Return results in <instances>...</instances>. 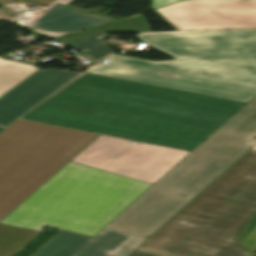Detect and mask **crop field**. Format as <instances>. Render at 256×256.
Here are the masks:
<instances>
[{"mask_svg":"<svg viewBox=\"0 0 256 256\" xmlns=\"http://www.w3.org/2000/svg\"><path fill=\"white\" fill-rule=\"evenodd\" d=\"M244 104L83 73L21 118L192 151Z\"/></svg>","mask_w":256,"mask_h":256,"instance_id":"obj_1","label":"crop field"},{"mask_svg":"<svg viewBox=\"0 0 256 256\" xmlns=\"http://www.w3.org/2000/svg\"><path fill=\"white\" fill-rule=\"evenodd\" d=\"M135 37L175 61L111 54L88 72L248 102L256 95V28L145 32Z\"/></svg>","mask_w":256,"mask_h":256,"instance_id":"obj_2","label":"crop field"},{"mask_svg":"<svg viewBox=\"0 0 256 256\" xmlns=\"http://www.w3.org/2000/svg\"><path fill=\"white\" fill-rule=\"evenodd\" d=\"M138 248L165 256L256 250V149H249Z\"/></svg>","mask_w":256,"mask_h":256,"instance_id":"obj_3","label":"crop field"},{"mask_svg":"<svg viewBox=\"0 0 256 256\" xmlns=\"http://www.w3.org/2000/svg\"><path fill=\"white\" fill-rule=\"evenodd\" d=\"M152 184L68 162L0 224L44 225L93 237Z\"/></svg>","mask_w":256,"mask_h":256,"instance_id":"obj_4","label":"crop field"},{"mask_svg":"<svg viewBox=\"0 0 256 256\" xmlns=\"http://www.w3.org/2000/svg\"><path fill=\"white\" fill-rule=\"evenodd\" d=\"M254 136L256 96L106 227L151 235L255 144Z\"/></svg>","mask_w":256,"mask_h":256,"instance_id":"obj_5","label":"crop field"},{"mask_svg":"<svg viewBox=\"0 0 256 256\" xmlns=\"http://www.w3.org/2000/svg\"><path fill=\"white\" fill-rule=\"evenodd\" d=\"M98 135L17 120L0 133V219Z\"/></svg>","mask_w":256,"mask_h":256,"instance_id":"obj_6","label":"crop field"},{"mask_svg":"<svg viewBox=\"0 0 256 256\" xmlns=\"http://www.w3.org/2000/svg\"><path fill=\"white\" fill-rule=\"evenodd\" d=\"M99 135L71 162L154 184L189 152Z\"/></svg>","mask_w":256,"mask_h":256,"instance_id":"obj_7","label":"crop field"},{"mask_svg":"<svg viewBox=\"0 0 256 256\" xmlns=\"http://www.w3.org/2000/svg\"><path fill=\"white\" fill-rule=\"evenodd\" d=\"M153 11L176 30L256 27V0H187Z\"/></svg>","mask_w":256,"mask_h":256,"instance_id":"obj_8","label":"crop field"},{"mask_svg":"<svg viewBox=\"0 0 256 256\" xmlns=\"http://www.w3.org/2000/svg\"><path fill=\"white\" fill-rule=\"evenodd\" d=\"M77 74L52 69L32 73L0 97V126L11 123Z\"/></svg>","mask_w":256,"mask_h":256,"instance_id":"obj_9","label":"crop field"},{"mask_svg":"<svg viewBox=\"0 0 256 256\" xmlns=\"http://www.w3.org/2000/svg\"><path fill=\"white\" fill-rule=\"evenodd\" d=\"M117 19L77 13L58 3L33 20V31L51 39Z\"/></svg>","mask_w":256,"mask_h":256,"instance_id":"obj_10","label":"crop field"},{"mask_svg":"<svg viewBox=\"0 0 256 256\" xmlns=\"http://www.w3.org/2000/svg\"><path fill=\"white\" fill-rule=\"evenodd\" d=\"M145 239L104 228L71 256H127Z\"/></svg>","mask_w":256,"mask_h":256,"instance_id":"obj_11","label":"crop field"},{"mask_svg":"<svg viewBox=\"0 0 256 256\" xmlns=\"http://www.w3.org/2000/svg\"><path fill=\"white\" fill-rule=\"evenodd\" d=\"M150 31L143 15H138L132 18H126L101 26L76 32L60 38L54 39L63 45H71L87 33H120V32H145Z\"/></svg>","mask_w":256,"mask_h":256,"instance_id":"obj_12","label":"crop field"},{"mask_svg":"<svg viewBox=\"0 0 256 256\" xmlns=\"http://www.w3.org/2000/svg\"><path fill=\"white\" fill-rule=\"evenodd\" d=\"M90 238L60 230L31 256H70Z\"/></svg>","mask_w":256,"mask_h":256,"instance_id":"obj_13","label":"crop field"},{"mask_svg":"<svg viewBox=\"0 0 256 256\" xmlns=\"http://www.w3.org/2000/svg\"><path fill=\"white\" fill-rule=\"evenodd\" d=\"M36 69L38 68L32 65L5 61L0 58V96Z\"/></svg>","mask_w":256,"mask_h":256,"instance_id":"obj_14","label":"crop field"},{"mask_svg":"<svg viewBox=\"0 0 256 256\" xmlns=\"http://www.w3.org/2000/svg\"><path fill=\"white\" fill-rule=\"evenodd\" d=\"M36 231L0 225V256H9Z\"/></svg>","mask_w":256,"mask_h":256,"instance_id":"obj_15","label":"crop field"},{"mask_svg":"<svg viewBox=\"0 0 256 256\" xmlns=\"http://www.w3.org/2000/svg\"><path fill=\"white\" fill-rule=\"evenodd\" d=\"M106 37L105 34H88L71 45V47L79 52L88 51L85 55L97 61L112 51L105 45L104 39Z\"/></svg>","mask_w":256,"mask_h":256,"instance_id":"obj_16","label":"crop field"},{"mask_svg":"<svg viewBox=\"0 0 256 256\" xmlns=\"http://www.w3.org/2000/svg\"><path fill=\"white\" fill-rule=\"evenodd\" d=\"M71 1L72 0H58V2L63 3L65 5H67ZM180 1H183V0H151L152 9L162 7V6H165V5H169V4H173V3H176V2H180Z\"/></svg>","mask_w":256,"mask_h":256,"instance_id":"obj_17","label":"crop field"},{"mask_svg":"<svg viewBox=\"0 0 256 256\" xmlns=\"http://www.w3.org/2000/svg\"><path fill=\"white\" fill-rule=\"evenodd\" d=\"M128 256H161L136 248Z\"/></svg>","mask_w":256,"mask_h":256,"instance_id":"obj_18","label":"crop field"},{"mask_svg":"<svg viewBox=\"0 0 256 256\" xmlns=\"http://www.w3.org/2000/svg\"><path fill=\"white\" fill-rule=\"evenodd\" d=\"M7 1H11V0H0L1 3L7 2ZM30 1L38 2V3H42V4H50L54 0H30Z\"/></svg>","mask_w":256,"mask_h":256,"instance_id":"obj_19","label":"crop field"},{"mask_svg":"<svg viewBox=\"0 0 256 256\" xmlns=\"http://www.w3.org/2000/svg\"><path fill=\"white\" fill-rule=\"evenodd\" d=\"M109 61H110V60H109ZM109 61H107V62H109ZM107 62H106V63H107ZM106 63H104V64H106ZM104 64L96 65V67H101V68H103V67H104V66H103Z\"/></svg>","mask_w":256,"mask_h":256,"instance_id":"obj_20","label":"crop field"}]
</instances>
